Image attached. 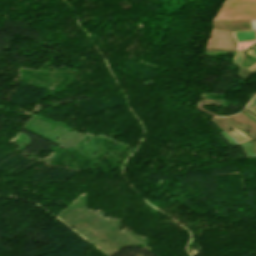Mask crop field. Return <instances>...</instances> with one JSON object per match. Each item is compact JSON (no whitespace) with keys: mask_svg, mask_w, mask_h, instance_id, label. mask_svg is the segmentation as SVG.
Masks as SVG:
<instances>
[{"mask_svg":"<svg viewBox=\"0 0 256 256\" xmlns=\"http://www.w3.org/2000/svg\"><path fill=\"white\" fill-rule=\"evenodd\" d=\"M245 109H247V110L251 111L252 113L256 114V111L253 110V109H250V108H248V107H246Z\"/></svg>","mask_w":256,"mask_h":256,"instance_id":"obj_7","label":"crop field"},{"mask_svg":"<svg viewBox=\"0 0 256 256\" xmlns=\"http://www.w3.org/2000/svg\"><path fill=\"white\" fill-rule=\"evenodd\" d=\"M248 69H250V70H256V64H254L253 66L249 67Z\"/></svg>","mask_w":256,"mask_h":256,"instance_id":"obj_6","label":"crop field"},{"mask_svg":"<svg viewBox=\"0 0 256 256\" xmlns=\"http://www.w3.org/2000/svg\"><path fill=\"white\" fill-rule=\"evenodd\" d=\"M231 33L233 35V32ZM255 33H256V30H255ZM234 34L237 41L256 39L254 31H240ZM233 38H234V35H233ZM235 38H234V41L236 42Z\"/></svg>","mask_w":256,"mask_h":256,"instance_id":"obj_2","label":"crop field"},{"mask_svg":"<svg viewBox=\"0 0 256 256\" xmlns=\"http://www.w3.org/2000/svg\"><path fill=\"white\" fill-rule=\"evenodd\" d=\"M247 105L251 107L256 106V96Z\"/></svg>","mask_w":256,"mask_h":256,"instance_id":"obj_4","label":"crop field"},{"mask_svg":"<svg viewBox=\"0 0 256 256\" xmlns=\"http://www.w3.org/2000/svg\"><path fill=\"white\" fill-rule=\"evenodd\" d=\"M242 111H244V110H242ZM245 112V111H244ZM247 113V112H246ZM247 114H249V113H247ZM249 115H251V114H249ZM252 117H254V118H256L255 116H253V115H251Z\"/></svg>","mask_w":256,"mask_h":256,"instance_id":"obj_8","label":"crop field"},{"mask_svg":"<svg viewBox=\"0 0 256 256\" xmlns=\"http://www.w3.org/2000/svg\"><path fill=\"white\" fill-rule=\"evenodd\" d=\"M256 19V0H227L214 20Z\"/></svg>","mask_w":256,"mask_h":256,"instance_id":"obj_1","label":"crop field"},{"mask_svg":"<svg viewBox=\"0 0 256 256\" xmlns=\"http://www.w3.org/2000/svg\"><path fill=\"white\" fill-rule=\"evenodd\" d=\"M243 53H240V52H236L235 55L233 56V60H232V64H238L241 56H242Z\"/></svg>","mask_w":256,"mask_h":256,"instance_id":"obj_3","label":"crop field"},{"mask_svg":"<svg viewBox=\"0 0 256 256\" xmlns=\"http://www.w3.org/2000/svg\"><path fill=\"white\" fill-rule=\"evenodd\" d=\"M248 54L256 58V51L249 50Z\"/></svg>","mask_w":256,"mask_h":256,"instance_id":"obj_5","label":"crop field"}]
</instances>
